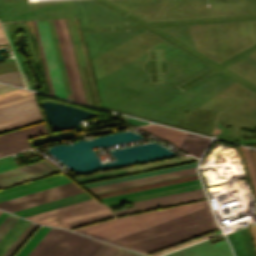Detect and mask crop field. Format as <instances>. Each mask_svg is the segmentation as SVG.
Listing matches in <instances>:
<instances>
[{"instance_id": "crop-field-1", "label": "crop field", "mask_w": 256, "mask_h": 256, "mask_svg": "<svg viewBox=\"0 0 256 256\" xmlns=\"http://www.w3.org/2000/svg\"><path fill=\"white\" fill-rule=\"evenodd\" d=\"M91 238L51 228L27 256H77Z\"/></svg>"}, {"instance_id": "crop-field-2", "label": "crop field", "mask_w": 256, "mask_h": 256, "mask_svg": "<svg viewBox=\"0 0 256 256\" xmlns=\"http://www.w3.org/2000/svg\"><path fill=\"white\" fill-rule=\"evenodd\" d=\"M84 192L81 188L74 183H66L25 196L0 202V209L10 212L45 203L48 201L56 200L73 194Z\"/></svg>"}, {"instance_id": "crop-field-3", "label": "crop field", "mask_w": 256, "mask_h": 256, "mask_svg": "<svg viewBox=\"0 0 256 256\" xmlns=\"http://www.w3.org/2000/svg\"><path fill=\"white\" fill-rule=\"evenodd\" d=\"M45 124H39L4 135H0V157L30 149L29 138L47 134Z\"/></svg>"}, {"instance_id": "crop-field-4", "label": "crop field", "mask_w": 256, "mask_h": 256, "mask_svg": "<svg viewBox=\"0 0 256 256\" xmlns=\"http://www.w3.org/2000/svg\"><path fill=\"white\" fill-rule=\"evenodd\" d=\"M36 22H37L54 94L57 97L66 99L47 22L46 21H36Z\"/></svg>"}, {"instance_id": "crop-field-5", "label": "crop field", "mask_w": 256, "mask_h": 256, "mask_svg": "<svg viewBox=\"0 0 256 256\" xmlns=\"http://www.w3.org/2000/svg\"><path fill=\"white\" fill-rule=\"evenodd\" d=\"M203 197L205 196L202 189L194 190V191H189L184 193H178V194L151 198V199H146L141 201H135L133 202V207L116 210V211H113V213L115 215H118V214H123V213H128V212H133V211H138V210H143V209H148V208H153V207H158V206H163V205H168V204H173V203H178V202H183V201H188V200H193V199H198Z\"/></svg>"}, {"instance_id": "crop-field-6", "label": "crop field", "mask_w": 256, "mask_h": 256, "mask_svg": "<svg viewBox=\"0 0 256 256\" xmlns=\"http://www.w3.org/2000/svg\"><path fill=\"white\" fill-rule=\"evenodd\" d=\"M195 173H197L196 167L179 170V171H174V172H169V173L148 176V177H143V178H138V179H133V180H128V181H123V182H118V183H113V184H107V185L87 188V190L89 192H91L92 194H95V193H100V192H105V191H110V190H115V189H120V188H125V187H130V186H135V185H140V184H145V183H150V182H155V181H160V180H165V179H170V178H175V177H180V176H185V175H190V174H195Z\"/></svg>"}, {"instance_id": "crop-field-7", "label": "crop field", "mask_w": 256, "mask_h": 256, "mask_svg": "<svg viewBox=\"0 0 256 256\" xmlns=\"http://www.w3.org/2000/svg\"><path fill=\"white\" fill-rule=\"evenodd\" d=\"M41 115L35 100L0 108V126Z\"/></svg>"}, {"instance_id": "crop-field-8", "label": "crop field", "mask_w": 256, "mask_h": 256, "mask_svg": "<svg viewBox=\"0 0 256 256\" xmlns=\"http://www.w3.org/2000/svg\"><path fill=\"white\" fill-rule=\"evenodd\" d=\"M165 256H233L226 240L210 245L209 241L187 247Z\"/></svg>"}, {"instance_id": "crop-field-9", "label": "crop field", "mask_w": 256, "mask_h": 256, "mask_svg": "<svg viewBox=\"0 0 256 256\" xmlns=\"http://www.w3.org/2000/svg\"><path fill=\"white\" fill-rule=\"evenodd\" d=\"M88 199H92V197L89 196L86 192H84V193H80V194H77V195H73V196H70V197H66V198L59 199V200H56V201H52V202H49V203L41 204V205H38V206H34V207H31V208H27V209H24V210L13 212V213L18 214L22 217H25V216L33 215V214H36V213L44 212V211H47V210H51V209L59 208V207H62V206L70 205V204H73V203L81 202V201L88 200Z\"/></svg>"}, {"instance_id": "crop-field-10", "label": "crop field", "mask_w": 256, "mask_h": 256, "mask_svg": "<svg viewBox=\"0 0 256 256\" xmlns=\"http://www.w3.org/2000/svg\"><path fill=\"white\" fill-rule=\"evenodd\" d=\"M58 21H59L61 33H62V36H63L66 52H67V55H68L70 67H71V70H72L75 86H76V89H77L79 101L81 103L86 104L84 94H83V90H82V86H81V82H80V78H79V74H78V70H77V66H76V61H75L71 41H70V37H69V33H68V29H67V25H66V21H65V19H61V20H58Z\"/></svg>"}, {"instance_id": "crop-field-11", "label": "crop field", "mask_w": 256, "mask_h": 256, "mask_svg": "<svg viewBox=\"0 0 256 256\" xmlns=\"http://www.w3.org/2000/svg\"><path fill=\"white\" fill-rule=\"evenodd\" d=\"M49 169H53V167H51L48 163L43 161L36 164L28 165L25 167H21L18 169H14L11 171L3 172V173H0V183L21 178L24 176H28L31 174L39 173Z\"/></svg>"}, {"instance_id": "crop-field-12", "label": "crop field", "mask_w": 256, "mask_h": 256, "mask_svg": "<svg viewBox=\"0 0 256 256\" xmlns=\"http://www.w3.org/2000/svg\"><path fill=\"white\" fill-rule=\"evenodd\" d=\"M198 183H200V182L198 179H196V180H191V181H186V182H181V183H176V184H171V185H166V186H161V187H156V188H151V189H145V190L125 193V194L100 198V200L104 203H107V202L117 201V200H121V199L141 196V195H145V194L165 191V190H169V189L189 186V185L198 184Z\"/></svg>"}, {"instance_id": "crop-field-13", "label": "crop field", "mask_w": 256, "mask_h": 256, "mask_svg": "<svg viewBox=\"0 0 256 256\" xmlns=\"http://www.w3.org/2000/svg\"><path fill=\"white\" fill-rule=\"evenodd\" d=\"M139 128L173 143L178 148L186 134L185 132L169 129L156 124L145 125Z\"/></svg>"}, {"instance_id": "crop-field-14", "label": "crop field", "mask_w": 256, "mask_h": 256, "mask_svg": "<svg viewBox=\"0 0 256 256\" xmlns=\"http://www.w3.org/2000/svg\"><path fill=\"white\" fill-rule=\"evenodd\" d=\"M209 141V138L187 133L180 146V149L199 158L202 152L208 146Z\"/></svg>"}, {"instance_id": "crop-field-15", "label": "crop field", "mask_w": 256, "mask_h": 256, "mask_svg": "<svg viewBox=\"0 0 256 256\" xmlns=\"http://www.w3.org/2000/svg\"><path fill=\"white\" fill-rule=\"evenodd\" d=\"M118 249L119 247L92 239L78 256H113Z\"/></svg>"}, {"instance_id": "crop-field-16", "label": "crop field", "mask_w": 256, "mask_h": 256, "mask_svg": "<svg viewBox=\"0 0 256 256\" xmlns=\"http://www.w3.org/2000/svg\"><path fill=\"white\" fill-rule=\"evenodd\" d=\"M29 222L19 218L16 223L9 229V231L0 240V256L13 243V241L20 235V233L27 227Z\"/></svg>"}, {"instance_id": "crop-field-17", "label": "crop field", "mask_w": 256, "mask_h": 256, "mask_svg": "<svg viewBox=\"0 0 256 256\" xmlns=\"http://www.w3.org/2000/svg\"><path fill=\"white\" fill-rule=\"evenodd\" d=\"M196 164H197V162L180 165V166H176V167H171V168H166V169H161V170H156V171H151V172H146V173H141V174H137V175L127 176V177L102 181V182H98V183L83 185V187L87 188V187H92V186H97V185H102V184H107V183H112V182H118V181H123V180H128V179H133V178H138V177H143V176H148V175H153V174H158V173H163V172H168V171H174V170L194 167V166H196Z\"/></svg>"}, {"instance_id": "crop-field-18", "label": "crop field", "mask_w": 256, "mask_h": 256, "mask_svg": "<svg viewBox=\"0 0 256 256\" xmlns=\"http://www.w3.org/2000/svg\"><path fill=\"white\" fill-rule=\"evenodd\" d=\"M196 178H198L197 175L190 176V177L179 178V179H174V180H169V181H164V182L148 184V185H143V186H138V187L127 188V189H122V190H117V191H112V192L96 194L95 196L97 198H100V197H105V196H110V195H115V194H120V193H125V192L145 189V188H151V187H156V186H161V185H166V184H171V183H176V182H181V181H186V180H191V179H196Z\"/></svg>"}, {"instance_id": "crop-field-19", "label": "crop field", "mask_w": 256, "mask_h": 256, "mask_svg": "<svg viewBox=\"0 0 256 256\" xmlns=\"http://www.w3.org/2000/svg\"><path fill=\"white\" fill-rule=\"evenodd\" d=\"M53 21H54V25H55V29H56V33H57V37H58V41H59V45H60V48H61V52H62V56H63L65 68H66V72H67V75H68V79H69V83H70L73 99L75 101H78V97H77L76 89H75V86H74L71 70H70V67H69L67 55H66V52H65L62 36H61V33H60L58 21L57 20H53Z\"/></svg>"}, {"instance_id": "crop-field-20", "label": "crop field", "mask_w": 256, "mask_h": 256, "mask_svg": "<svg viewBox=\"0 0 256 256\" xmlns=\"http://www.w3.org/2000/svg\"><path fill=\"white\" fill-rule=\"evenodd\" d=\"M36 227L37 225L30 223L28 227L21 233V235L14 241V243L7 249V251L2 256H12V254L27 239V237L34 231Z\"/></svg>"}, {"instance_id": "crop-field-21", "label": "crop field", "mask_w": 256, "mask_h": 256, "mask_svg": "<svg viewBox=\"0 0 256 256\" xmlns=\"http://www.w3.org/2000/svg\"><path fill=\"white\" fill-rule=\"evenodd\" d=\"M227 237L234 249L236 256H247L237 231L234 233L228 234Z\"/></svg>"}, {"instance_id": "crop-field-22", "label": "crop field", "mask_w": 256, "mask_h": 256, "mask_svg": "<svg viewBox=\"0 0 256 256\" xmlns=\"http://www.w3.org/2000/svg\"><path fill=\"white\" fill-rule=\"evenodd\" d=\"M238 232H239L240 237L242 239V242L244 244L247 255L248 256H256V253H255V250H254V247H253L248 229L247 228L242 229V230H239Z\"/></svg>"}, {"instance_id": "crop-field-23", "label": "crop field", "mask_w": 256, "mask_h": 256, "mask_svg": "<svg viewBox=\"0 0 256 256\" xmlns=\"http://www.w3.org/2000/svg\"><path fill=\"white\" fill-rule=\"evenodd\" d=\"M54 173H58V171L53 169V170H49V171L42 172V173H39V174H35V175H31V176L24 177V178H21V179H17V180H14V181H10V182H7V183H3V184H0V188H4V187H7V186L22 183V182H25V181L33 180V179L40 178V177L47 176V175H51V174H54Z\"/></svg>"}, {"instance_id": "crop-field-24", "label": "crop field", "mask_w": 256, "mask_h": 256, "mask_svg": "<svg viewBox=\"0 0 256 256\" xmlns=\"http://www.w3.org/2000/svg\"><path fill=\"white\" fill-rule=\"evenodd\" d=\"M0 81L23 87L24 84L18 71L0 74Z\"/></svg>"}, {"instance_id": "crop-field-25", "label": "crop field", "mask_w": 256, "mask_h": 256, "mask_svg": "<svg viewBox=\"0 0 256 256\" xmlns=\"http://www.w3.org/2000/svg\"><path fill=\"white\" fill-rule=\"evenodd\" d=\"M32 23H33V27H34L37 43H38V46H39V50H40V54H41V58H42L43 66H44V70H45V73H46V77H47L50 93L53 94V90H52V86H51V82H50V78H49V74H48V70H47V66H46V62H45V58H44V54H43V50H42V46H41V42H40L38 30H37V26H36V22L33 21Z\"/></svg>"}, {"instance_id": "crop-field-26", "label": "crop field", "mask_w": 256, "mask_h": 256, "mask_svg": "<svg viewBox=\"0 0 256 256\" xmlns=\"http://www.w3.org/2000/svg\"><path fill=\"white\" fill-rule=\"evenodd\" d=\"M27 94H31V92L21 90V89H17V90L9 91V92H6V93H2V94H0V102L6 101V100H9V99H13V98H16V97L24 96V95H27Z\"/></svg>"}, {"instance_id": "crop-field-27", "label": "crop field", "mask_w": 256, "mask_h": 256, "mask_svg": "<svg viewBox=\"0 0 256 256\" xmlns=\"http://www.w3.org/2000/svg\"><path fill=\"white\" fill-rule=\"evenodd\" d=\"M18 217L9 214L5 220L0 224V238L7 232V230L14 224ZM9 231V230H8Z\"/></svg>"}, {"instance_id": "crop-field-28", "label": "crop field", "mask_w": 256, "mask_h": 256, "mask_svg": "<svg viewBox=\"0 0 256 256\" xmlns=\"http://www.w3.org/2000/svg\"><path fill=\"white\" fill-rule=\"evenodd\" d=\"M242 149H243V152H244V156H245L247 166H248V169H249V172H250V175H251V179H252V182H253V185H254V188H255V192H256V174H255L254 167H253V164H252V161H251L249 150L245 149V148H242Z\"/></svg>"}, {"instance_id": "crop-field-29", "label": "crop field", "mask_w": 256, "mask_h": 256, "mask_svg": "<svg viewBox=\"0 0 256 256\" xmlns=\"http://www.w3.org/2000/svg\"><path fill=\"white\" fill-rule=\"evenodd\" d=\"M42 120L43 119L40 116V117L32 118V119H29V120L21 121V122H18V123L10 124V125H7V126L0 127V132L8 130V129L16 128V127H19V126L31 124V123H34V122L42 121Z\"/></svg>"}, {"instance_id": "crop-field-30", "label": "crop field", "mask_w": 256, "mask_h": 256, "mask_svg": "<svg viewBox=\"0 0 256 256\" xmlns=\"http://www.w3.org/2000/svg\"><path fill=\"white\" fill-rule=\"evenodd\" d=\"M1 25H2V28H3V30H4V32H5V34H6V37H7L8 41H9V43H10V46H11V48H12V51H13V53H14V55H15V58H16L17 63H18V65H19L20 71H21L22 76H23V78H24L25 84H26V86H27L28 88H30L29 83H28V80H27V78H26V75H25V73H24V71H23V69H22V67H21V65H20V63H19V60H18V57H17V55H16L15 49H14V47H13L11 38H10V36H9L8 30H7L6 26H5V24H1ZM30 89H31V88H30Z\"/></svg>"}, {"instance_id": "crop-field-31", "label": "crop field", "mask_w": 256, "mask_h": 256, "mask_svg": "<svg viewBox=\"0 0 256 256\" xmlns=\"http://www.w3.org/2000/svg\"><path fill=\"white\" fill-rule=\"evenodd\" d=\"M33 95H27V96H24V97H20V98H16V99H13V100H9V101H6V102H2L0 103V107H4V106H7V105H11V104H15V103H18V102H22V101H25V100H29V99H33Z\"/></svg>"}, {"instance_id": "crop-field-32", "label": "crop field", "mask_w": 256, "mask_h": 256, "mask_svg": "<svg viewBox=\"0 0 256 256\" xmlns=\"http://www.w3.org/2000/svg\"><path fill=\"white\" fill-rule=\"evenodd\" d=\"M114 256H141V255H138L136 253H133L121 248Z\"/></svg>"}, {"instance_id": "crop-field-33", "label": "crop field", "mask_w": 256, "mask_h": 256, "mask_svg": "<svg viewBox=\"0 0 256 256\" xmlns=\"http://www.w3.org/2000/svg\"><path fill=\"white\" fill-rule=\"evenodd\" d=\"M13 89H17V88H14V87H11V86H8V85L1 86L0 87V93L6 92V91H9V90H13Z\"/></svg>"}, {"instance_id": "crop-field-34", "label": "crop field", "mask_w": 256, "mask_h": 256, "mask_svg": "<svg viewBox=\"0 0 256 256\" xmlns=\"http://www.w3.org/2000/svg\"><path fill=\"white\" fill-rule=\"evenodd\" d=\"M0 33H3L2 30H1V28H0ZM1 40H5L6 43L8 44V42H7V40H6L5 36H4V34H0V41H1ZM3 44H5V42H4V41H1V42H0V45H3Z\"/></svg>"}, {"instance_id": "crop-field-35", "label": "crop field", "mask_w": 256, "mask_h": 256, "mask_svg": "<svg viewBox=\"0 0 256 256\" xmlns=\"http://www.w3.org/2000/svg\"><path fill=\"white\" fill-rule=\"evenodd\" d=\"M250 228H251V231H252L255 243H256V225L251 226Z\"/></svg>"}, {"instance_id": "crop-field-36", "label": "crop field", "mask_w": 256, "mask_h": 256, "mask_svg": "<svg viewBox=\"0 0 256 256\" xmlns=\"http://www.w3.org/2000/svg\"><path fill=\"white\" fill-rule=\"evenodd\" d=\"M7 216V214H0V223L4 220V218Z\"/></svg>"}, {"instance_id": "crop-field-37", "label": "crop field", "mask_w": 256, "mask_h": 256, "mask_svg": "<svg viewBox=\"0 0 256 256\" xmlns=\"http://www.w3.org/2000/svg\"><path fill=\"white\" fill-rule=\"evenodd\" d=\"M1 85H5V84H1V83H0V86H1Z\"/></svg>"}]
</instances>
